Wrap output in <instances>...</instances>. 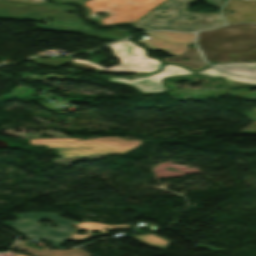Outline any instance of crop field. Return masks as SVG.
Masks as SVG:
<instances>
[{
	"instance_id": "5a996713",
	"label": "crop field",
	"mask_w": 256,
	"mask_h": 256,
	"mask_svg": "<svg viewBox=\"0 0 256 256\" xmlns=\"http://www.w3.org/2000/svg\"><path fill=\"white\" fill-rule=\"evenodd\" d=\"M0 6L24 9V10H28L29 8H34V9H42V10H50V11H58V12H63L65 7L74 9V7H70V6L52 5V4H48V3L42 4V5H36V4H28V3H20V2H12V1H4V0H0ZM0 18H9V19L19 18V19H29V20L41 21V19H36V18H24V17H12V16H0ZM59 24H62V26H67V27L91 29L89 26L81 24V22L78 20L55 17L53 25H59ZM36 28L50 30V31H68V30H62V29L39 26V25H36ZM69 32H74V31H69ZM84 35H86L88 37L96 36V35H90V34H85V33H84ZM97 37L99 39H103V40H112V41L119 40V39L107 38V37H102V36H97Z\"/></svg>"
},
{
	"instance_id": "d9b57169",
	"label": "crop field",
	"mask_w": 256,
	"mask_h": 256,
	"mask_svg": "<svg viewBox=\"0 0 256 256\" xmlns=\"http://www.w3.org/2000/svg\"><path fill=\"white\" fill-rule=\"evenodd\" d=\"M13 1H21V2H29V3H37V4L46 3L45 0H13Z\"/></svg>"
},
{
	"instance_id": "ac0d7876",
	"label": "crop field",
	"mask_w": 256,
	"mask_h": 256,
	"mask_svg": "<svg viewBox=\"0 0 256 256\" xmlns=\"http://www.w3.org/2000/svg\"><path fill=\"white\" fill-rule=\"evenodd\" d=\"M192 0H168L160 7L134 23L132 26L141 31L147 30H176V31H198L224 24L217 13L202 14L186 11V5ZM215 7H221L222 0H207ZM162 11L166 12L162 14ZM196 16L197 19L186 21V18ZM216 16V19L213 17ZM168 18L170 21H166ZM215 21H220L216 23Z\"/></svg>"
},
{
	"instance_id": "8a807250",
	"label": "crop field",
	"mask_w": 256,
	"mask_h": 256,
	"mask_svg": "<svg viewBox=\"0 0 256 256\" xmlns=\"http://www.w3.org/2000/svg\"><path fill=\"white\" fill-rule=\"evenodd\" d=\"M253 25L237 24L200 32L197 45L207 62L256 60V27Z\"/></svg>"
},
{
	"instance_id": "34b2d1b8",
	"label": "crop field",
	"mask_w": 256,
	"mask_h": 256,
	"mask_svg": "<svg viewBox=\"0 0 256 256\" xmlns=\"http://www.w3.org/2000/svg\"><path fill=\"white\" fill-rule=\"evenodd\" d=\"M50 219L57 221L60 225L59 229H54L51 227H41L37 225V221L42 219ZM77 222L66 220L58 215L49 213H34V214H21L16 222L8 221L7 224L16 229L17 231L28 235L31 238L38 240H47L51 244L61 247L63 243L69 238L73 232V224ZM76 227L79 229L75 231L70 240L86 241L89 237L103 236L107 235L85 223L78 224ZM84 230L88 232V235H76L79 230ZM93 231H99L103 235H93Z\"/></svg>"
},
{
	"instance_id": "f4fd0767",
	"label": "crop field",
	"mask_w": 256,
	"mask_h": 256,
	"mask_svg": "<svg viewBox=\"0 0 256 256\" xmlns=\"http://www.w3.org/2000/svg\"><path fill=\"white\" fill-rule=\"evenodd\" d=\"M110 48L112 49L111 51L113 53V56L121 59L120 65L106 69L89 61H79L76 59H72L70 64L76 68L86 70L96 69L101 72L144 74L158 70L159 66L161 65V62L159 60L148 57L147 52L143 48L135 45L129 40L110 46ZM133 55L136 56L133 57Z\"/></svg>"
},
{
	"instance_id": "22f410ed",
	"label": "crop field",
	"mask_w": 256,
	"mask_h": 256,
	"mask_svg": "<svg viewBox=\"0 0 256 256\" xmlns=\"http://www.w3.org/2000/svg\"><path fill=\"white\" fill-rule=\"evenodd\" d=\"M214 66L227 72L256 77V63H226Z\"/></svg>"
},
{
	"instance_id": "d1516ede",
	"label": "crop field",
	"mask_w": 256,
	"mask_h": 256,
	"mask_svg": "<svg viewBox=\"0 0 256 256\" xmlns=\"http://www.w3.org/2000/svg\"><path fill=\"white\" fill-rule=\"evenodd\" d=\"M187 57L188 58V62H185L183 60H181L182 58ZM166 62H173V63H177V64H182L185 65L189 68L192 69H198V68H202L204 67L206 64L202 61L198 51L196 50V48H189L188 51L180 56L177 57H169V58H165Z\"/></svg>"
},
{
	"instance_id": "cbeb9de0",
	"label": "crop field",
	"mask_w": 256,
	"mask_h": 256,
	"mask_svg": "<svg viewBox=\"0 0 256 256\" xmlns=\"http://www.w3.org/2000/svg\"><path fill=\"white\" fill-rule=\"evenodd\" d=\"M133 238L149 245L150 247H153V248L157 247L162 250H165V248L169 244V242H166L153 234L145 235V236H137V237H133Z\"/></svg>"
},
{
	"instance_id": "5142ce71",
	"label": "crop field",
	"mask_w": 256,
	"mask_h": 256,
	"mask_svg": "<svg viewBox=\"0 0 256 256\" xmlns=\"http://www.w3.org/2000/svg\"><path fill=\"white\" fill-rule=\"evenodd\" d=\"M106 233H108L105 229H103L104 227H106L107 229L111 230V229H121V228H132L129 225H122V226H108V225H104V224H100V223H91V222H86ZM109 234V233H108Z\"/></svg>"
},
{
	"instance_id": "e52e79f7",
	"label": "crop field",
	"mask_w": 256,
	"mask_h": 256,
	"mask_svg": "<svg viewBox=\"0 0 256 256\" xmlns=\"http://www.w3.org/2000/svg\"><path fill=\"white\" fill-rule=\"evenodd\" d=\"M166 0H91L83 6L91 9L90 17L100 21L102 25H110L119 22L133 24ZM97 12H107L106 18L96 16Z\"/></svg>"
},
{
	"instance_id": "3316defc",
	"label": "crop field",
	"mask_w": 256,
	"mask_h": 256,
	"mask_svg": "<svg viewBox=\"0 0 256 256\" xmlns=\"http://www.w3.org/2000/svg\"><path fill=\"white\" fill-rule=\"evenodd\" d=\"M230 10H233L234 13H230ZM223 13L227 14L228 23L240 21L256 22V0H230L224 6Z\"/></svg>"
},
{
	"instance_id": "733c2abd",
	"label": "crop field",
	"mask_w": 256,
	"mask_h": 256,
	"mask_svg": "<svg viewBox=\"0 0 256 256\" xmlns=\"http://www.w3.org/2000/svg\"><path fill=\"white\" fill-rule=\"evenodd\" d=\"M16 256H24L23 254H21V253H18Z\"/></svg>"
},
{
	"instance_id": "d8731c3e",
	"label": "crop field",
	"mask_w": 256,
	"mask_h": 256,
	"mask_svg": "<svg viewBox=\"0 0 256 256\" xmlns=\"http://www.w3.org/2000/svg\"><path fill=\"white\" fill-rule=\"evenodd\" d=\"M148 37L138 41L151 50L163 51L171 56H177L187 51L189 43L194 40L193 34L170 32H149ZM192 40V42H189Z\"/></svg>"
},
{
	"instance_id": "28ad6ade",
	"label": "crop field",
	"mask_w": 256,
	"mask_h": 256,
	"mask_svg": "<svg viewBox=\"0 0 256 256\" xmlns=\"http://www.w3.org/2000/svg\"><path fill=\"white\" fill-rule=\"evenodd\" d=\"M24 241H19L16 247L28 251L36 256H91V254L87 253L86 251L76 248L72 250H51L50 248L46 247L43 251L31 249L24 247Z\"/></svg>"
},
{
	"instance_id": "dd49c442",
	"label": "crop field",
	"mask_w": 256,
	"mask_h": 256,
	"mask_svg": "<svg viewBox=\"0 0 256 256\" xmlns=\"http://www.w3.org/2000/svg\"><path fill=\"white\" fill-rule=\"evenodd\" d=\"M197 73L211 78L222 77L227 83L228 87L256 85L255 79H247L239 76L223 74L211 67ZM191 74H193V72L180 66L166 65L160 73L150 77L138 78L136 80L110 78L109 81L131 86L143 94L165 93L167 92V87L163 85V79L178 76H188ZM150 87L153 89H150Z\"/></svg>"
},
{
	"instance_id": "412701ff",
	"label": "crop field",
	"mask_w": 256,
	"mask_h": 256,
	"mask_svg": "<svg viewBox=\"0 0 256 256\" xmlns=\"http://www.w3.org/2000/svg\"><path fill=\"white\" fill-rule=\"evenodd\" d=\"M31 144H47L49 149L56 148L61 157L91 154H123L138 144V140L125 141L118 137L97 138L94 140L77 139H31Z\"/></svg>"
}]
</instances>
